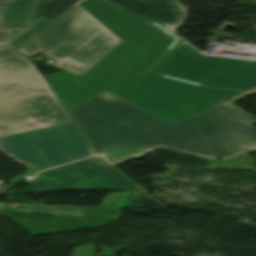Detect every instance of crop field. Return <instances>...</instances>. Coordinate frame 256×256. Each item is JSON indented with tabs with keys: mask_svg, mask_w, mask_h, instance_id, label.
<instances>
[{
	"mask_svg": "<svg viewBox=\"0 0 256 256\" xmlns=\"http://www.w3.org/2000/svg\"><path fill=\"white\" fill-rule=\"evenodd\" d=\"M81 6L123 41L81 76L66 71L44 76L68 110L108 90L172 124L242 93L151 72L179 38L100 0Z\"/></svg>",
	"mask_w": 256,
	"mask_h": 256,
	"instance_id": "8a807250",
	"label": "crop field"
},
{
	"mask_svg": "<svg viewBox=\"0 0 256 256\" xmlns=\"http://www.w3.org/2000/svg\"><path fill=\"white\" fill-rule=\"evenodd\" d=\"M9 32L10 31H0V46L7 43L10 37Z\"/></svg>",
	"mask_w": 256,
	"mask_h": 256,
	"instance_id": "cbeb9de0",
	"label": "crop field"
},
{
	"mask_svg": "<svg viewBox=\"0 0 256 256\" xmlns=\"http://www.w3.org/2000/svg\"><path fill=\"white\" fill-rule=\"evenodd\" d=\"M26 183L40 193L54 190H131L133 185L98 156L47 170Z\"/></svg>",
	"mask_w": 256,
	"mask_h": 256,
	"instance_id": "d8731c3e",
	"label": "crop field"
},
{
	"mask_svg": "<svg viewBox=\"0 0 256 256\" xmlns=\"http://www.w3.org/2000/svg\"><path fill=\"white\" fill-rule=\"evenodd\" d=\"M40 0L0 1V30L26 29Z\"/></svg>",
	"mask_w": 256,
	"mask_h": 256,
	"instance_id": "3316defc",
	"label": "crop field"
},
{
	"mask_svg": "<svg viewBox=\"0 0 256 256\" xmlns=\"http://www.w3.org/2000/svg\"><path fill=\"white\" fill-rule=\"evenodd\" d=\"M70 113L99 154L139 140L170 125L107 91Z\"/></svg>",
	"mask_w": 256,
	"mask_h": 256,
	"instance_id": "f4fd0767",
	"label": "crop field"
},
{
	"mask_svg": "<svg viewBox=\"0 0 256 256\" xmlns=\"http://www.w3.org/2000/svg\"><path fill=\"white\" fill-rule=\"evenodd\" d=\"M82 1L84 0H41L28 28L40 15L55 21Z\"/></svg>",
	"mask_w": 256,
	"mask_h": 256,
	"instance_id": "28ad6ade",
	"label": "crop field"
},
{
	"mask_svg": "<svg viewBox=\"0 0 256 256\" xmlns=\"http://www.w3.org/2000/svg\"><path fill=\"white\" fill-rule=\"evenodd\" d=\"M29 59L0 47V136L72 122Z\"/></svg>",
	"mask_w": 256,
	"mask_h": 256,
	"instance_id": "34b2d1b8",
	"label": "crop field"
},
{
	"mask_svg": "<svg viewBox=\"0 0 256 256\" xmlns=\"http://www.w3.org/2000/svg\"><path fill=\"white\" fill-rule=\"evenodd\" d=\"M153 71L218 87L246 90L256 86V61L203 56L182 39Z\"/></svg>",
	"mask_w": 256,
	"mask_h": 256,
	"instance_id": "e52e79f7",
	"label": "crop field"
},
{
	"mask_svg": "<svg viewBox=\"0 0 256 256\" xmlns=\"http://www.w3.org/2000/svg\"><path fill=\"white\" fill-rule=\"evenodd\" d=\"M122 40L80 5L23 45L30 57L43 53L53 68L81 75Z\"/></svg>",
	"mask_w": 256,
	"mask_h": 256,
	"instance_id": "412701ff",
	"label": "crop field"
},
{
	"mask_svg": "<svg viewBox=\"0 0 256 256\" xmlns=\"http://www.w3.org/2000/svg\"><path fill=\"white\" fill-rule=\"evenodd\" d=\"M256 119L228 100L144 139L104 154L115 163L156 147L230 157L256 147Z\"/></svg>",
	"mask_w": 256,
	"mask_h": 256,
	"instance_id": "ac0d7876",
	"label": "crop field"
},
{
	"mask_svg": "<svg viewBox=\"0 0 256 256\" xmlns=\"http://www.w3.org/2000/svg\"><path fill=\"white\" fill-rule=\"evenodd\" d=\"M138 15L150 18L168 30L177 28L184 18L179 0H104Z\"/></svg>",
	"mask_w": 256,
	"mask_h": 256,
	"instance_id": "5a996713",
	"label": "crop field"
},
{
	"mask_svg": "<svg viewBox=\"0 0 256 256\" xmlns=\"http://www.w3.org/2000/svg\"><path fill=\"white\" fill-rule=\"evenodd\" d=\"M0 149L31 169L10 183L96 154L74 122L0 138Z\"/></svg>",
	"mask_w": 256,
	"mask_h": 256,
	"instance_id": "dd49c442",
	"label": "crop field"
},
{
	"mask_svg": "<svg viewBox=\"0 0 256 256\" xmlns=\"http://www.w3.org/2000/svg\"><path fill=\"white\" fill-rule=\"evenodd\" d=\"M0 209L15 210V208L8 207V204H5V203H0ZM83 210H84L83 207L39 205V204H26L24 208L25 212L46 213V214H56V215L76 216V217H81Z\"/></svg>",
	"mask_w": 256,
	"mask_h": 256,
	"instance_id": "d1516ede",
	"label": "crop field"
},
{
	"mask_svg": "<svg viewBox=\"0 0 256 256\" xmlns=\"http://www.w3.org/2000/svg\"><path fill=\"white\" fill-rule=\"evenodd\" d=\"M252 94H256V88H254V89H252L250 91H247V92H245V93H243V94H241V95H239V96H237V97H235V98H233L231 100L236 102V101H238V100H240V99H242V98H244L246 96L252 95Z\"/></svg>",
	"mask_w": 256,
	"mask_h": 256,
	"instance_id": "5142ce71",
	"label": "crop field"
},
{
	"mask_svg": "<svg viewBox=\"0 0 256 256\" xmlns=\"http://www.w3.org/2000/svg\"><path fill=\"white\" fill-rule=\"evenodd\" d=\"M53 21L40 16L35 23L28 29L23 31L20 35H18L11 43L10 45L14 47H19L20 45L27 42L29 39H31L33 36H35L38 32H40L42 29H44L46 26H48Z\"/></svg>",
	"mask_w": 256,
	"mask_h": 256,
	"instance_id": "22f410ed",
	"label": "crop field"
}]
</instances>
